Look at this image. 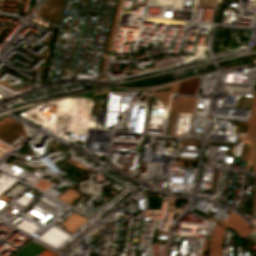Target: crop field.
Wrapping results in <instances>:
<instances>
[{"label": "crop field", "mask_w": 256, "mask_h": 256, "mask_svg": "<svg viewBox=\"0 0 256 256\" xmlns=\"http://www.w3.org/2000/svg\"><path fill=\"white\" fill-rule=\"evenodd\" d=\"M246 136L250 141L251 145L249 149L248 161L245 170H248L249 165H251L253 166V171L256 172V91L247 124Z\"/></svg>", "instance_id": "1"}, {"label": "crop field", "mask_w": 256, "mask_h": 256, "mask_svg": "<svg viewBox=\"0 0 256 256\" xmlns=\"http://www.w3.org/2000/svg\"><path fill=\"white\" fill-rule=\"evenodd\" d=\"M195 100H196V98L178 96L177 101H175V100H173V96H172L170 111L193 113ZM172 112H170V123H169L168 135H170L172 121H173L174 113H172Z\"/></svg>", "instance_id": "2"}, {"label": "crop field", "mask_w": 256, "mask_h": 256, "mask_svg": "<svg viewBox=\"0 0 256 256\" xmlns=\"http://www.w3.org/2000/svg\"><path fill=\"white\" fill-rule=\"evenodd\" d=\"M224 233H225L224 228L215 224L214 233H213V237H212L211 245L209 249V256H221L222 239H223ZM205 244H206V239H204L201 256H203Z\"/></svg>", "instance_id": "3"}, {"label": "crop field", "mask_w": 256, "mask_h": 256, "mask_svg": "<svg viewBox=\"0 0 256 256\" xmlns=\"http://www.w3.org/2000/svg\"><path fill=\"white\" fill-rule=\"evenodd\" d=\"M221 225L233 228L237 232V234L241 237H244L250 232H252L249 228L246 227L249 224H247L242 218H240L233 212L229 215V217L224 222L221 223Z\"/></svg>", "instance_id": "4"}, {"label": "crop field", "mask_w": 256, "mask_h": 256, "mask_svg": "<svg viewBox=\"0 0 256 256\" xmlns=\"http://www.w3.org/2000/svg\"><path fill=\"white\" fill-rule=\"evenodd\" d=\"M178 84H175V85H172V90H168L167 92L165 91H161V92H158V93H154L153 95L156 96L158 99H160L166 106L168 104V99H169V95L171 93H174V92H177L178 90Z\"/></svg>", "instance_id": "5"}, {"label": "crop field", "mask_w": 256, "mask_h": 256, "mask_svg": "<svg viewBox=\"0 0 256 256\" xmlns=\"http://www.w3.org/2000/svg\"><path fill=\"white\" fill-rule=\"evenodd\" d=\"M120 4H121V0L118 1V5H117V9H116V13H115V17H114V21H113V25H112V29H111V33H110V37H109V41H108L106 52H108L110 50V46H111V42H112L114 30H115V25H116V20H117ZM107 55L108 54L105 53L106 57H107Z\"/></svg>", "instance_id": "6"}, {"label": "crop field", "mask_w": 256, "mask_h": 256, "mask_svg": "<svg viewBox=\"0 0 256 256\" xmlns=\"http://www.w3.org/2000/svg\"><path fill=\"white\" fill-rule=\"evenodd\" d=\"M256 215V185H255V196H254V205H253V212L252 216Z\"/></svg>", "instance_id": "7"}, {"label": "crop field", "mask_w": 256, "mask_h": 256, "mask_svg": "<svg viewBox=\"0 0 256 256\" xmlns=\"http://www.w3.org/2000/svg\"><path fill=\"white\" fill-rule=\"evenodd\" d=\"M105 66H106V59L104 60V64H103V68H102V72H104ZM102 72H101V73H102Z\"/></svg>", "instance_id": "8"}]
</instances>
